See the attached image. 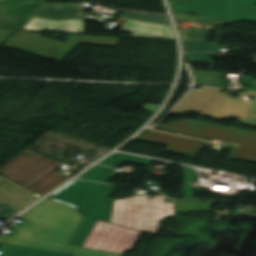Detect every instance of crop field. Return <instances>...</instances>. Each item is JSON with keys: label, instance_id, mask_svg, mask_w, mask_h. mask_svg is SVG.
Listing matches in <instances>:
<instances>
[{"label": "crop field", "instance_id": "1", "mask_svg": "<svg viewBox=\"0 0 256 256\" xmlns=\"http://www.w3.org/2000/svg\"><path fill=\"white\" fill-rule=\"evenodd\" d=\"M18 218L24 220L27 227L13 228L14 234L1 235L0 241L74 252L75 256H122L67 245L82 219L69 206L45 199Z\"/></svg>", "mask_w": 256, "mask_h": 256}, {"label": "crop field", "instance_id": "2", "mask_svg": "<svg viewBox=\"0 0 256 256\" xmlns=\"http://www.w3.org/2000/svg\"><path fill=\"white\" fill-rule=\"evenodd\" d=\"M114 190L111 185L75 180L48 198L70 205L84 215L70 245L82 246L97 219L109 223L113 200L108 198Z\"/></svg>", "mask_w": 256, "mask_h": 256}, {"label": "crop field", "instance_id": "3", "mask_svg": "<svg viewBox=\"0 0 256 256\" xmlns=\"http://www.w3.org/2000/svg\"><path fill=\"white\" fill-rule=\"evenodd\" d=\"M61 165L25 150L3 165L0 174L43 196L69 178L53 172Z\"/></svg>", "mask_w": 256, "mask_h": 256}, {"label": "crop field", "instance_id": "4", "mask_svg": "<svg viewBox=\"0 0 256 256\" xmlns=\"http://www.w3.org/2000/svg\"><path fill=\"white\" fill-rule=\"evenodd\" d=\"M173 214V203H165V196H133L125 200H114L110 223L155 233L159 220Z\"/></svg>", "mask_w": 256, "mask_h": 256}, {"label": "crop field", "instance_id": "5", "mask_svg": "<svg viewBox=\"0 0 256 256\" xmlns=\"http://www.w3.org/2000/svg\"><path fill=\"white\" fill-rule=\"evenodd\" d=\"M36 32L18 31L4 47L60 61L80 43L117 47L119 39L71 35L67 44L35 35Z\"/></svg>", "mask_w": 256, "mask_h": 256}, {"label": "crop field", "instance_id": "6", "mask_svg": "<svg viewBox=\"0 0 256 256\" xmlns=\"http://www.w3.org/2000/svg\"><path fill=\"white\" fill-rule=\"evenodd\" d=\"M141 232L97 220L83 246L124 254L129 252Z\"/></svg>", "mask_w": 256, "mask_h": 256}, {"label": "crop field", "instance_id": "7", "mask_svg": "<svg viewBox=\"0 0 256 256\" xmlns=\"http://www.w3.org/2000/svg\"><path fill=\"white\" fill-rule=\"evenodd\" d=\"M44 0H0V28L23 29Z\"/></svg>", "mask_w": 256, "mask_h": 256}, {"label": "crop field", "instance_id": "8", "mask_svg": "<svg viewBox=\"0 0 256 256\" xmlns=\"http://www.w3.org/2000/svg\"><path fill=\"white\" fill-rule=\"evenodd\" d=\"M88 8L80 4L45 3L34 16L51 19L82 18L81 12Z\"/></svg>", "mask_w": 256, "mask_h": 256}, {"label": "crop field", "instance_id": "9", "mask_svg": "<svg viewBox=\"0 0 256 256\" xmlns=\"http://www.w3.org/2000/svg\"><path fill=\"white\" fill-rule=\"evenodd\" d=\"M121 31L132 32L133 37L174 39L171 28L126 21Z\"/></svg>", "mask_w": 256, "mask_h": 256}, {"label": "crop field", "instance_id": "10", "mask_svg": "<svg viewBox=\"0 0 256 256\" xmlns=\"http://www.w3.org/2000/svg\"><path fill=\"white\" fill-rule=\"evenodd\" d=\"M24 29L83 33V24L81 20L52 21L32 18Z\"/></svg>", "mask_w": 256, "mask_h": 256}, {"label": "crop field", "instance_id": "11", "mask_svg": "<svg viewBox=\"0 0 256 256\" xmlns=\"http://www.w3.org/2000/svg\"><path fill=\"white\" fill-rule=\"evenodd\" d=\"M0 256H71L70 253L0 243Z\"/></svg>", "mask_w": 256, "mask_h": 256}, {"label": "crop field", "instance_id": "12", "mask_svg": "<svg viewBox=\"0 0 256 256\" xmlns=\"http://www.w3.org/2000/svg\"><path fill=\"white\" fill-rule=\"evenodd\" d=\"M120 18L170 25L166 15L126 9Z\"/></svg>", "mask_w": 256, "mask_h": 256}, {"label": "crop field", "instance_id": "13", "mask_svg": "<svg viewBox=\"0 0 256 256\" xmlns=\"http://www.w3.org/2000/svg\"><path fill=\"white\" fill-rule=\"evenodd\" d=\"M124 162L150 166L152 160L120 153H114L110 157L102 161L99 165L116 167Z\"/></svg>", "mask_w": 256, "mask_h": 256}, {"label": "crop field", "instance_id": "14", "mask_svg": "<svg viewBox=\"0 0 256 256\" xmlns=\"http://www.w3.org/2000/svg\"><path fill=\"white\" fill-rule=\"evenodd\" d=\"M173 14L176 22H191L193 24H207L210 26H222V25L239 22L234 20L214 19V18H206V17H200V16L193 17L189 15L176 14V13H173Z\"/></svg>", "mask_w": 256, "mask_h": 256}, {"label": "crop field", "instance_id": "15", "mask_svg": "<svg viewBox=\"0 0 256 256\" xmlns=\"http://www.w3.org/2000/svg\"><path fill=\"white\" fill-rule=\"evenodd\" d=\"M210 28H204L200 30H195V28L178 30L182 41H207L211 30Z\"/></svg>", "mask_w": 256, "mask_h": 256}, {"label": "crop field", "instance_id": "16", "mask_svg": "<svg viewBox=\"0 0 256 256\" xmlns=\"http://www.w3.org/2000/svg\"><path fill=\"white\" fill-rule=\"evenodd\" d=\"M111 170H112L111 168L95 166L89 171H87L86 173H84L79 178L106 183L111 178H113V176L107 175Z\"/></svg>", "mask_w": 256, "mask_h": 256}, {"label": "crop field", "instance_id": "17", "mask_svg": "<svg viewBox=\"0 0 256 256\" xmlns=\"http://www.w3.org/2000/svg\"><path fill=\"white\" fill-rule=\"evenodd\" d=\"M185 52L220 51L218 42H182Z\"/></svg>", "mask_w": 256, "mask_h": 256}, {"label": "crop field", "instance_id": "18", "mask_svg": "<svg viewBox=\"0 0 256 256\" xmlns=\"http://www.w3.org/2000/svg\"><path fill=\"white\" fill-rule=\"evenodd\" d=\"M211 202L176 201V211H204L210 212Z\"/></svg>", "mask_w": 256, "mask_h": 256}, {"label": "crop field", "instance_id": "19", "mask_svg": "<svg viewBox=\"0 0 256 256\" xmlns=\"http://www.w3.org/2000/svg\"><path fill=\"white\" fill-rule=\"evenodd\" d=\"M255 96L254 99L249 103L250 107L246 113L244 124L250 126H256V91H246L242 93V97Z\"/></svg>", "mask_w": 256, "mask_h": 256}, {"label": "crop field", "instance_id": "20", "mask_svg": "<svg viewBox=\"0 0 256 256\" xmlns=\"http://www.w3.org/2000/svg\"><path fill=\"white\" fill-rule=\"evenodd\" d=\"M189 62L211 63L212 53H186Z\"/></svg>", "mask_w": 256, "mask_h": 256}, {"label": "crop field", "instance_id": "21", "mask_svg": "<svg viewBox=\"0 0 256 256\" xmlns=\"http://www.w3.org/2000/svg\"><path fill=\"white\" fill-rule=\"evenodd\" d=\"M184 195L183 198H192L193 183L190 182V168L184 166Z\"/></svg>", "mask_w": 256, "mask_h": 256}, {"label": "crop field", "instance_id": "22", "mask_svg": "<svg viewBox=\"0 0 256 256\" xmlns=\"http://www.w3.org/2000/svg\"><path fill=\"white\" fill-rule=\"evenodd\" d=\"M21 210L0 204V219L7 221Z\"/></svg>", "mask_w": 256, "mask_h": 256}, {"label": "crop field", "instance_id": "23", "mask_svg": "<svg viewBox=\"0 0 256 256\" xmlns=\"http://www.w3.org/2000/svg\"><path fill=\"white\" fill-rule=\"evenodd\" d=\"M142 109L147 110V111L153 113L157 109V106L144 104Z\"/></svg>", "mask_w": 256, "mask_h": 256}]
</instances>
